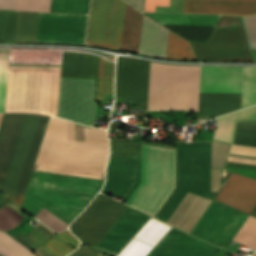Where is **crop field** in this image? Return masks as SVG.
Wrapping results in <instances>:
<instances>
[{
    "mask_svg": "<svg viewBox=\"0 0 256 256\" xmlns=\"http://www.w3.org/2000/svg\"><path fill=\"white\" fill-rule=\"evenodd\" d=\"M48 116L4 114L0 124V190L21 206ZM77 125V124H76ZM73 127L50 117L33 169L38 162L102 172L109 155L106 131ZM83 130V137H82ZM80 140L82 142L72 140ZM104 180L33 170L22 208L36 216L44 207L66 224L76 218Z\"/></svg>",
    "mask_w": 256,
    "mask_h": 256,
    "instance_id": "obj_1",
    "label": "crop field"
},
{
    "mask_svg": "<svg viewBox=\"0 0 256 256\" xmlns=\"http://www.w3.org/2000/svg\"><path fill=\"white\" fill-rule=\"evenodd\" d=\"M61 67L9 66L4 112L56 116Z\"/></svg>",
    "mask_w": 256,
    "mask_h": 256,
    "instance_id": "obj_2",
    "label": "crop field"
},
{
    "mask_svg": "<svg viewBox=\"0 0 256 256\" xmlns=\"http://www.w3.org/2000/svg\"><path fill=\"white\" fill-rule=\"evenodd\" d=\"M200 66L151 62L148 110L198 111Z\"/></svg>",
    "mask_w": 256,
    "mask_h": 256,
    "instance_id": "obj_3",
    "label": "crop field"
},
{
    "mask_svg": "<svg viewBox=\"0 0 256 256\" xmlns=\"http://www.w3.org/2000/svg\"><path fill=\"white\" fill-rule=\"evenodd\" d=\"M174 187L175 150L142 144L141 183L127 204L154 217Z\"/></svg>",
    "mask_w": 256,
    "mask_h": 256,
    "instance_id": "obj_4",
    "label": "crop field"
},
{
    "mask_svg": "<svg viewBox=\"0 0 256 256\" xmlns=\"http://www.w3.org/2000/svg\"><path fill=\"white\" fill-rule=\"evenodd\" d=\"M211 142L176 146V187L155 218L166 222L187 191L210 198Z\"/></svg>",
    "mask_w": 256,
    "mask_h": 256,
    "instance_id": "obj_5",
    "label": "crop field"
},
{
    "mask_svg": "<svg viewBox=\"0 0 256 256\" xmlns=\"http://www.w3.org/2000/svg\"><path fill=\"white\" fill-rule=\"evenodd\" d=\"M250 50L256 49V15L243 17ZM203 61L251 57L243 26L214 29L208 43L192 42ZM230 62L253 61L252 58L222 60Z\"/></svg>",
    "mask_w": 256,
    "mask_h": 256,
    "instance_id": "obj_6",
    "label": "crop field"
},
{
    "mask_svg": "<svg viewBox=\"0 0 256 256\" xmlns=\"http://www.w3.org/2000/svg\"><path fill=\"white\" fill-rule=\"evenodd\" d=\"M126 208L127 206L99 193L73 222L70 230L82 242L95 248Z\"/></svg>",
    "mask_w": 256,
    "mask_h": 256,
    "instance_id": "obj_7",
    "label": "crop field"
},
{
    "mask_svg": "<svg viewBox=\"0 0 256 256\" xmlns=\"http://www.w3.org/2000/svg\"><path fill=\"white\" fill-rule=\"evenodd\" d=\"M95 79L61 78L57 117L92 126L100 107L94 96Z\"/></svg>",
    "mask_w": 256,
    "mask_h": 256,
    "instance_id": "obj_8",
    "label": "crop field"
},
{
    "mask_svg": "<svg viewBox=\"0 0 256 256\" xmlns=\"http://www.w3.org/2000/svg\"><path fill=\"white\" fill-rule=\"evenodd\" d=\"M125 2L92 0L86 43L119 49Z\"/></svg>",
    "mask_w": 256,
    "mask_h": 256,
    "instance_id": "obj_9",
    "label": "crop field"
},
{
    "mask_svg": "<svg viewBox=\"0 0 256 256\" xmlns=\"http://www.w3.org/2000/svg\"><path fill=\"white\" fill-rule=\"evenodd\" d=\"M247 215L215 200L190 234L226 249Z\"/></svg>",
    "mask_w": 256,
    "mask_h": 256,
    "instance_id": "obj_10",
    "label": "crop field"
},
{
    "mask_svg": "<svg viewBox=\"0 0 256 256\" xmlns=\"http://www.w3.org/2000/svg\"><path fill=\"white\" fill-rule=\"evenodd\" d=\"M150 62L117 59L115 101L147 108Z\"/></svg>",
    "mask_w": 256,
    "mask_h": 256,
    "instance_id": "obj_11",
    "label": "crop field"
},
{
    "mask_svg": "<svg viewBox=\"0 0 256 256\" xmlns=\"http://www.w3.org/2000/svg\"><path fill=\"white\" fill-rule=\"evenodd\" d=\"M224 168L256 179V121L236 120Z\"/></svg>",
    "mask_w": 256,
    "mask_h": 256,
    "instance_id": "obj_12",
    "label": "crop field"
},
{
    "mask_svg": "<svg viewBox=\"0 0 256 256\" xmlns=\"http://www.w3.org/2000/svg\"><path fill=\"white\" fill-rule=\"evenodd\" d=\"M141 153L111 152L101 192L129 199L140 183Z\"/></svg>",
    "mask_w": 256,
    "mask_h": 256,
    "instance_id": "obj_13",
    "label": "crop field"
},
{
    "mask_svg": "<svg viewBox=\"0 0 256 256\" xmlns=\"http://www.w3.org/2000/svg\"><path fill=\"white\" fill-rule=\"evenodd\" d=\"M87 15L40 13L37 43L84 44Z\"/></svg>",
    "mask_w": 256,
    "mask_h": 256,
    "instance_id": "obj_14",
    "label": "crop field"
},
{
    "mask_svg": "<svg viewBox=\"0 0 256 256\" xmlns=\"http://www.w3.org/2000/svg\"><path fill=\"white\" fill-rule=\"evenodd\" d=\"M218 250L172 227L147 256H213Z\"/></svg>",
    "mask_w": 256,
    "mask_h": 256,
    "instance_id": "obj_15",
    "label": "crop field"
},
{
    "mask_svg": "<svg viewBox=\"0 0 256 256\" xmlns=\"http://www.w3.org/2000/svg\"><path fill=\"white\" fill-rule=\"evenodd\" d=\"M149 217L128 207L96 248L116 256Z\"/></svg>",
    "mask_w": 256,
    "mask_h": 256,
    "instance_id": "obj_16",
    "label": "crop field"
},
{
    "mask_svg": "<svg viewBox=\"0 0 256 256\" xmlns=\"http://www.w3.org/2000/svg\"><path fill=\"white\" fill-rule=\"evenodd\" d=\"M215 200L250 214L256 205V180L232 173Z\"/></svg>",
    "mask_w": 256,
    "mask_h": 256,
    "instance_id": "obj_17",
    "label": "crop field"
},
{
    "mask_svg": "<svg viewBox=\"0 0 256 256\" xmlns=\"http://www.w3.org/2000/svg\"><path fill=\"white\" fill-rule=\"evenodd\" d=\"M242 67L201 66L200 93L241 94Z\"/></svg>",
    "mask_w": 256,
    "mask_h": 256,
    "instance_id": "obj_18",
    "label": "crop field"
},
{
    "mask_svg": "<svg viewBox=\"0 0 256 256\" xmlns=\"http://www.w3.org/2000/svg\"><path fill=\"white\" fill-rule=\"evenodd\" d=\"M183 13L256 14V0H184Z\"/></svg>",
    "mask_w": 256,
    "mask_h": 256,
    "instance_id": "obj_19",
    "label": "crop field"
},
{
    "mask_svg": "<svg viewBox=\"0 0 256 256\" xmlns=\"http://www.w3.org/2000/svg\"><path fill=\"white\" fill-rule=\"evenodd\" d=\"M168 229L150 219L118 256H145Z\"/></svg>",
    "mask_w": 256,
    "mask_h": 256,
    "instance_id": "obj_20",
    "label": "crop field"
},
{
    "mask_svg": "<svg viewBox=\"0 0 256 256\" xmlns=\"http://www.w3.org/2000/svg\"><path fill=\"white\" fill-rule=\"evenodd\" d=\"M169 31L144 16L139 53L165 58Z\"/></svg>",
    "mask_w": 256,
    "mask_h": 256,
    "instance_id": "obj_21",
    "label": "crop field"
},
{
    "mask_svg": "<svg viewBox=\"0 0 256 256\" xmlns=\"http://www.w3.org/2000/svg\"><path fill=\"white\" fill-rule=\"evenodd\" d=\"M99 57L63 52L61 77L97 78Z\"/></svg>",
    "mask_w": 256,
    "mask_h": 256,
    "instance_id": "obj_22",
    "label": "crop field"
},
{
    "mask_svg": "<svg viewBox=\"0 0 256 256\" xmlns=\"http://www.w3.org/2000/svg\"><path fill=\"white\" fill-rule=\"evenodd\" d=\"M210 202L209 200L187 193L182 203L176 208L175 212L168 220V223L190 232L191 228Z\"/></svg>",
    "mask_w": 256,
    "mask_h": 256,
    "instance_id": "obj_23",
    "label": "crop field"
},
{
    "mask_svg": "<svg viewBox=\"0 0 256 256\" xmlns=\"http://www.w3.org/2000/svg\"><path fill=\"white\" fill-rule=\"evenodd\" d=\"M240 109V95L200 94L199 116L210 119Z\"/></svg>",
    "mask_w": 256,
    "mask_h": 256,
    "instance_id": "obj_24",
    "label": "crop field"
},
{
    "mask_svg": "<svg viewBox=\"0 0 256 256\" xmlns=\"http://www.w3.org/2000/svg\"><path fill=\"white\" fill-rule=\"evenodd\" d=\"M143 15L126 4L120 49L138 53Z\"/></svg>",
    "mask_w": 256,
    "mask_h": 256,
    "instance_id": "obj_25",
    "label": "crop field"
},
{
    "mask_svg": "<svg viewBox=\"0 0 256 256\" xmlns=\"http://www.w3.org/2000/svg\"><path fill=\"white\" fill-rule=\"evenodd\" d=\"M160 24L215 26L220 15L144 13Z\"/></svg>",
    "mask_w": 256,
    "mask_h": 256,
    "instance_id": "obj_26",
    "label": "crop field"
},
{
    "mask_svg": "<svg viewBox=\"0 0 256 256\" xmlns=\"http://www.w3.org/2000/svg\"><path fill=\"white\" fill-rule=\"evenodd\" d=\"M235 119L256 120V106L218 118L213 140L230 143Z\"/></svg>",
    "mask_w": 256,
    "mask_h": 256,
    "instance_id": "obj_27",
    "label": "crop field"
},
{
    "mask_svg": "<svg viewBox=\"0 0 256 256\" xmlns=\"http://www.w3.org/2000/svg\"><path fill=\"white\" fill-rule=\"evenodd\" d=\"M39 13L18 12L15 43L34 42Z\"/></svg>",
    "mask_w": 256,
    "mask_h": 256,
    "instance_id": "obj_28",
    "label": "crop field"
},
{
    "mask_svg": "<svg viewBox=\"0 0 256 256\" xmlns=\"http://www.w3.org/2000/svg\"><path fill=\"white\" fill-rule=\"evenodd\" d=\"M256 103V68L243 67L242 108Z\"/></svg>",
    "mask_w": 256,
    "mask_h": 256,
    "instance_id": "obj_29",
    "label": "crop field"
},
{
    "mask_svg": "<svg viewBox=\"0 0 256 256\" xmlns=\"http://www.w3.org/2000/svg\"><path fill=\"white\" fill-rule=\"evenodd\" d=\"M166 57L196 59L189 42L172 32L169 34Z\"/></svg>",
    "mask_w": 256,
    "mask_h": 256,
    "instance_id": "obj_30",
    "label": "crop field"
},
{
    "mask_svg": "<svg viewBox=\"0 0 256 256\" xmlns=\"http://www.w3.org/2000/svg\"><path fill=\"white\" fill-rule=\"evenodd\" d=\"M229 145L212 143V169H221ZM220 187V170H212L211 192H217Z\"/></svg>",
    "mask_w": 256,
    "mask_h": 256,
    "instance_id": "obj_31",
    "label": "crop field"
},
{
    "mask_svg": "<svg viewBox=\"0 0 256 256\" xmlns=\"http://www.w3.org/2000/svg\"><path fill=\"white\" fill-rule=\"evenodd\" d=\"M189 41H207L214 27L164 25Z\"/></svg>",
    "mask_w": 256,
    "mask_h": 256,
    "instance_id": "obj_32",
    "label": "crop field"
},
{
    "mask_svg": "<svg viewBox=\"0 0 256 256\" xmlns=\"http://www.w3.org/2000/svg\"><path fill=\"white\" fill-rule=\"evenodd\" d=\"M90 0H51L50 12L88 14Z\"/></svg>",
    "mask_w": 256,
    "mask_h": 256,
    "instance_id": "obj_33",
    "label": "crop field"
},
{
    "mask_svg": "<svg viewBox=\"0 0 256 256\" xmlns=\"http://www.w3.org/2000/svg\"><path fill=\"white\" fill-rule=\"evenodd\" d=\"M40 226L38 228L34 227L26 236L19 233L13 238L31 251H36L44 242L53 236Z\"/></svg>",
    "mask_w": 256,
    "mask_h": 256,
    "instance_id": "obj_34",
    "label": "crop field"
},
{
    "mask_svg": "<svg viewBox=\"0 0 256 256\" xmlns=\"http://www.w3.org/2000/svg\"><path fill=\"white\" fill-rule=\"evenodd\" d=\"M17 12L0 11V42L14 43Z\"/></svg>",
    "mask_w": 256,
    "mask_h": 256,
    "instance_id": "obj_35",
    "label": "crop field"
},
{
    "mask_svg": "<svg viewBox=\"0 0 256 256\" xmlns=\"http://www.w3.org/2000/svg\"><path fill=\"white\" fill-rule=\"evenodd\" d=\"M233 241L256 250V219L248 216Z\"/></svg>",
    "mask_w": 256,
    "mask_h": 256,
    "instance_id": "obj_36",
    "label": "crop field"
},
{
    "mask_svg": "<svg viewBox=\"0 0 256 256\" xmlns=\"http://www.w3.org/2000/svg\"><path fill=\"white\" fill-rule=\"evenodd\" d=\"M26 249L6 233L0 231V254L4 256H35Z\"/></svg>",
    "mask_w": 256,
    "mask_h": 256,
    "instance_id": "obj_37",
    "label": "crop field"
},
{
    "mask_svg": "<svg viewBox=\"0 0 256 256\" xmlns=\"http://www.w3.org/2000/svg\"><path fill=\"white\" fill-rule=\"evenodd\" d=\"M9 51L0 50V112H3Z\"/></svg>",
    "mask_w": 256,
    "mask_h": 256,
    "instance_id": "obj_38",
    "label": "crop field"
},
{
    "mask_svg": "<svg viewBox=\"0 0 256 256\" xmlns=\"http://www.w3.org/2000/svg\"><path fill=\"white\" fill-rule=\"evenodd\" d=\"M23 218L24 217L4 206L0 209V229L6 231L13 229L18 226Z\"/></svg>",
    "mask_w": 256,
    "mask_h": 256,
    "instance_id": "obj_39",
    "label": "crop field"
},
{
    "mask_svg": "<svg viewBox=\"0 0 256 256\" xmlns=\"http://www.w3.org/2000/svg\"><path fill=\"white\" fill-rule=\"evenodd\" d=\"M37 169L59 172V173H66V174H73V175H80V176H87V177H94V178H100L101 176V173H98V172L79 170V169H73V168H67V167H61V166H54V165H48V164H42V163L38 164Z\"/></svg>",
    "mask_w": 256,
    "mask_h": 256,
    "instance_id": "obj_40",
    "label": "crop field"
},
{
    "mask_svg": "<svg viewBox=\"0 0 256 256\" xmlns=\"http://www.w3.org/2000/svg\"><path fill=\"white\" fill-rule=\"evenodd\" d=\"M50 0H16L15 10L49 12Z\"/></svg>",
    "mask_w": 256,
    "mask_h": 256,
    "instance_id": "obj_41",
    "label": "crop field"
},
{
    "mask_svg": "<svg viewBox=\"0 0 256 256\" xmlns=\"http://www.w3.org/2000/svg\"><path fill=\"white\" fill-rule=\"evenodd\" d=\"M35 218L39 219L40 221H42L44 224H46L48 227H50L52 230L56 232H61L63 230H66L68 226L44 208L40 211V213Z\"/></svg>",
    "mask_w": 256,
    "mask_h": 256,
    "instance_id": "obj_42",
    "label": "crop field"
},
{
    "mask_svg": "<svg viewBox=\"0 0 256 256\" xmlns=\"http://www.w3.org/2000/svg\"><path fill=\"white\" fill-rule=\"evenodd\" d=\"M111 151L141 152V141L110 140Z\"/></svg>",
    "mask_w": 256,
    "mask_h": 256,
    "instance_id": "obj_43",
    "label": "crop field"
},
{
    "mask_svg": "<svg viewBox=\"0 0 256 256\" xmlns=\"http://www.w3.org/2000/svg\"><path fill=\"white\" fill-rule=\"evenodd\" d=\"M42 246H44L45 248H47L48 250H50L51 252L58 256H65L66 254L74 251V249H72L71 247L58 241L54 236Z\"/></svg>",
    "mask_w": 256,
    "mask_h": 256,
    "instance_id": "obj_44",
    "label": "crop field"
},
{
    "mask_svg": "<svg viewBox=\"0 0 256 256\" xmlns=\"http://www.w3.org/2000/svg\"><path fill=\"white\" fill-rule=\"evenodd\" d=\"M115 65L100 57L98 78H114Z\"/></svg>",
    "mask_w": 256,
    "mask_h": 256,
    "instance_id": "obj_45",
    "label": "crop field"
},
{
    "mask_svg": "<svg viewBox=\"0 0 256 256\" xmlns=\"http://www.w3.org/2000/svg\"><path fill=\"white\" fill-rule=\"evenodd\" d=\"M104 93L113 94V81L106 79L98 80V90L96 99H103Z\"/></svg>",
    "mask_w": 256,
    "mask_h": 256,
    "instance_id": "obj_46",
    "label": "crop field"
},
{
    "mask_svg": "<svg viewBox=\"0 0 256 256\" xmlns=\"http://www.w3.org/2000/svg\"><path fill=\"white\" fill-rule=\"evenodd\" d=\"M236 25H243L241 17L222 15L215 28L225 27V26H236Z\"/></svg>",
    "mask_w": 256,
    "mask_h": 256,
    "instance_id": "obj_47",
    "label": "crop field"
},
{
    "mask_svg": "<svg viewBox=\"0 0 256 256\" xmlns=\"http://www.w3.org/2000/svg\"><path fill=\"white\" fill-rule=\"evenodd\" d=\"M155 6H169V0H146L145 11L155 12Z\"/></svg>",
    "mask_w": 256,
    "mask_h": 256,
    "instance_id": "obj_48",
    "label": "crop field"
},
{
    "mask_svg": "<svg viewBox=\"0 0 256 256\" xmlns=\"http://www.w3.org/2000/svg\"><path fill=\"white\" fill-rule=\"evenodd\" d=\"M74 256H97L98 252L92 250L86 245H82L75 252L71 253Z\"/></svg>",
    "mask_w": 256,
    "mask_h": 256,
    "instance_id": "obj_49",
    "label": "crop field"
},
{
    "mask_svg": "<svg viewBox=\"0 0 256 256\" xmlns=\"http://www.w3.org/2000/svg\"><path fill=\"white\" fill-rule=\"evenodd\" d=\"M59 237L69 241L70 243H72L73 245H75L77 247L78 243H79V240L74 237L69 230H66L62 233H59L58 234Z\"/></svg>",
    "mask_w": 256,
    "mask_h": 256,
    "instance_id": "obj_50",
    "label": "crop field"
},
{
    "mask_svg": "<svg viewBox=\"0 0 256 256\" xmlns=\"http://www.w3.org/2000/svg\"><path fill=\"white\" fill-rule=\"evenodd\" d=\"M139 11H144L145 0H124Z\"/></svg>",
    "mask_w": 256,
    "mask_h": 256,
    "instance_id": "obj_51",
    "label": "crop field"
},
{
    "mask_svg": "<svg viewBox=\"0 0 256 256\" xmlns=\"http://www.w3.org/2000/svg\"><path fill=\"white\" fill-rule=\"evenodd\" d=\"M14 0H0V7L13 8Z\"/></svg>",
    "mask_w": 256,
    "mask_h": 256,
    "instance_id": "obj_52",
    "label": "crop field"
},
{
    "mask_svg": "<svg viewBox=\"0 0 256 256\" xmlns=\"http://www.w3.org/2000/svg\"><path fill=\"white\" fill-rule=\"evenodd\" d=\"M7 203H9L8 200L0 194V208Z\"/></svg>",
    "mask_w": 256,
    "mask_h": 256,
    "instance_id": "obj_53",
    "label": "crop field"
},
{
    "mask_svg": "<svg viewBox=\"0 0 256 256\" xmlns=\"http://www.w3.org/2000/svg\"><path fill=\"white\" fill-rule=\"evenodd\" d=\"M251 215L256 217V207L254 208V210L251 212Z\"/></svg>",
    "mask_w": 256,
    "mask_h": 256,
    "instance_id": "obj_54",
    "label": "crop field"
},
{
    "mask_svg": "<svg viewBox=\"0 0 256 256\" xmlns=\"http://www.w3.org/2000/svg\"><path fill=\"white\" fill-rule=\"evenodd\" d=\"M2 115H3V114H0V120H1Z\"/></svg>",
    "mask_w": 256,
    "mask_h": 256,
    "instance_id": "obj_55",
    "label": "crop field"
},
{
    "mask_svg": "<svg viewBox=\"0 0 256 256\" xmlns=\"http://www.w3.org/2000/svg\"><path fill=\"white\" fill-rule=\"evenodd\" d=\"M253 256H256V253Z\"/></svg>",
    "mask_w": 256,
    "mask_h": 256,
    "instance_id": "obj_56",
    "label": "crop field"
}]
</instances>
